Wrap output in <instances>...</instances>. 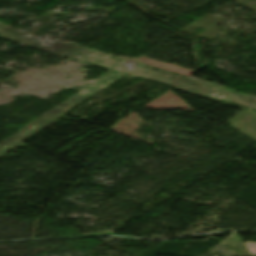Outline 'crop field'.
I'll list each match as a JSON object with an SVG mask.
<instances>
[{
	"mask_svg": "<svg viewBox=\"0 0 256 256\" xmlns=\"http://www.w3.org/2000/svg\"><path fill=\"white\" fill-rule=\"evenodd\" d=\"M244 244H245L247 250L249 251V253L256 255V244L255 243L244 242Z\"/></svg>",
	"mask_w": 256,
	"mask_h": 256,
	"instance_id": "crop-field-1",
	"label": "crop field"
}]
</instances>
